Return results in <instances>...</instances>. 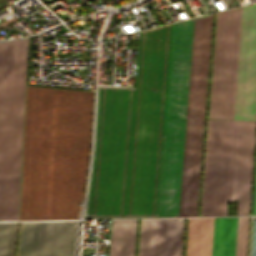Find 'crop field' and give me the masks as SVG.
<instances>
[{
  "mask_svg": "<svg viewBox=\"0 0 256 256\" xmlns=\"http://www.w3.org/2000/svg\"><path fill=\"white\" fill-rule=\"evenodd\" d=\"M173 24L139 32L135 88L99 86L85 217L158 215Z\"/></svg>",
  "mask_w": 256,
  "mask_h": 256,
  "instance_id": "1",
  "label": "crop field"
},
{
  "mask_svg": "<svg viewBox=\"0 0 256 256\" xmlns=\"http://www.w3.org/2000/svg\"><path fill=\"white\" fill-rule=\"evenodd\" d=\"M242 7L217 13L209 117L233 119ZM231 121L208 120L201 216L224 215ZM256 133V4L243 7L225 215H249Z\"/></svg>",
  "mask_w": 256,
  "mask_h": 256,
  "instance_id": "2",
  "label": "crop field"
},
{
  "mask_svg": "<svg viewBox=\"0 0 256 256\" xmlns=\"http://www.w3.org/2000/svg\"><path fill=\"white\" fill-rule=\"evenodd\" d=\"M92 104L93 92L27 86L19 220L76 219Z\"/></svg>",
  "mask_w": 256,
  "mask_h": 256,
  "instance_id": "3",
  "label": "crop field"
},
{
  "mask_svg": "<svg viewBox=\"0 0 256 256\" xmlns=\"http://www.w3.org/2000/svg\"><path fill=\"white\" fill-rule=\"evenodd\" d=\"M212 15L176 24L165 135L159 217H178L186 111L203 118ZM187 118L179 217L196 216L203 119Z\"/></svg>",
  "mask_w": 256,
  "mask_h": 256,
  "instance_id": "4",
  "label": "crop field"
},
{
  "mask_svg": "<svg viewBox=\"0 0 256 256\" xmlns=\"http://www.w3.org/2000/svg\"><path fill=\"white\" fill-rule=\"evenodd\" d=\"M29 43H0V220H17Z\"/></svg>",
  "mask_w": 256,
  "mask_h": 256,
  "instance_id": "5",
  "label": "crop field"
},
{
  "mask_svg": "<svg viewBox=\"0 0 256 256\" xmlns=\"http://www.w3.org/2000/svg\"><path fill=\"white\" fill-rule=\"evenodd\" d=\"M238 217L190 218L187 256H235Z\"/></svg>",
  "mask_w": 256,
  "mask_h": 256,
  "instance_id": "6",
  "label": "crop field"
},
{
  "mask_svg": "<svg viewBox=\"0 0 256 256\" xmlns=\"http://www.w3.org/2000/svg\"><path fill=\"white\" fill-rule=\"evenodd\" d=\"M74 223H22L17 256H70Z\"/></svg>",
  "mask_w": 256,
  "mask_h": 256,
  "instance_id": "7",
  "label": "crop field"
},
{
  "mask_svg": "<svg viewBox=\"0 0 256 256\" xmlns=\"http://www.w3.org/2000/svg\"><path fill=\"white\" fill-rule=\"evenodd\" d=\"M184 218L141 219L138 256H181Z\"/></svg>",
  "mask_w": 256,
  "mask_h": 256,
  "instance_id": "8",
  "label": "crop field"
},
{
  "mask_svg": "<svg viewBox=\"0 0 256 256\" xmlns=\"http://www.w3.org/2000/svg\"><path fill=\"white\" fill-rule=\"evenodd\" d=\"M137 219L111 220L109 256H134Z\"/></svg>",
  "mask_w": 256,
  "mask_h": 256,
  "instance_id": "9",
  "label": "crop field"
},
{
  "mask_svg": "<svg viewBox=\"0 0 256 256\" xmlns=\"http://www.w3.org/2000/svg\"><path fill=\"white\" fill-rule=\"evenodd\" d=\"M18 222L0 223V256H13Z\"/></svg>",
  "mask_w": 256,
  "mask_h": 256,
  "instance_id": "10",
  "label": "crop field"
},
{
  "mask_svg": "<svg viewBox=\"0 0 256 256\" xmlns=\"http://www.w3.org/2000/svg\"><path fill=\"white\" fill-rule=\"evenodd\" d=\"M249 217H239L236 256H246Z\"/></svg>",
  "mask_w": 256,
  "mask_h": 256,
  "instance_id": "11",
  "label": "crop field"
},
{
  "mask_svg": "<svg viewBox=\"0 0 256 256\" xmlns=\"http://www.w3.org/2000/svg\"><path fill=\"white\" fill-rule=\"evenodd\" d=\"M252 215H256V176H255V187H254V198H253Z\"/></svg>",
  "mask_w": 256,
  "mask_h": 256,
  "instance_id": "12",
  "label": "crop field"
}]
</instances>
